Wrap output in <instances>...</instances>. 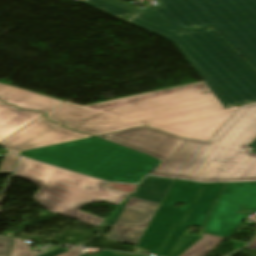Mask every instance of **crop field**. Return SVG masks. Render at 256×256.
Returning a JSON list of instances; mask_svg holds the SVG:
<instances>
[{"mask_svg":"<svg viewBox=\"0 0 256 256\" xmlns=\"http://www.w3.org/2000/svg\"><path fill=\"white\" fill-rule=\"evenodd\" d=\"M239 107L224 109L207 84L198 82L83 107L64 102L46 115L95 136L148 125L207 141Z\"/></svg>","mask_w":256,"mask_h":256,"instance_id":"crop-field-1","label":"crop field"},{"mask_svg":"<svg viewBox=\"0 0 256 256\" xmlns=\"http://www.w3.org/2000/svg\"><path fill=\"white\" fill-rule=\"evenodd\" d=\"M162 163L152 175L202 182L256 180V103L241 106L207 141L183 138L142 126L98 136Z\"/></svg>","mask_w":256,"mask_h":256,"instance_id":"crop-field-2","label":"crop field"},{"mask_svg":"<svg viewBox=\"0 0 256 256\" xmlns=\"http://www.w3.org/2000/svg\"><path fill=\"white\" fill-rule=\"evenodd\" d=\"M123 21L171 41L224 108L256 102V71L214 29L181 31L135 14Z\"/></svg>","mask_w":256,"mask_h":256,"instance_id":"crop-field-3","label":"crop field"},{"mask_svg":"<svg viewBox=\"0 0 256 256\" xmlns=\"http://www.w3.org/2000/svg\"><path fill=\"white\" fill-rule=\"evenodd\" d=\"M178 29L213 27L256 69V0H157L139 10L115 0H101Z\"/></svg>","mask_w":256,"mask_h":256,"instance_id":"crop-field-4","label":"crop field"},{"mask_svg":"<svg viewBox=\"0 0 256 256\" xmlns=\"http://www.w3.org/2000/svg\"><path fill=\"white\" fill-rule=\"evenodd\" d=\"M20 156L106 181L137 183L159 161L96 137L23 151Z\"/></svg>","mask_w":256,"mask_h":256,"instance_id":"crop-field-5","label":"crop field"},{"mask_svg":"<svg viewBox=\"0 0 256 256\" xmlns=\"http://www.w3.org/2000/svg\"><path fill=\"white\" fill-rule=\"evenodd\" d=\"M224 185L174 180L137 246L156 256H178L199 238L183 236L187 227H203ZM176 202L186 204L174 207Z\"/></svg>","mask_w":256,"mask_h":256,"instance_id":"crop-field-6","label":"crop field"},{"mask_svg":"<svg viewBox=\"0 0 256 256\" xmlns=\"http://www.w3.org/2000/svg\"><path fill=\"white\" fill-rule=\"evenodd\" d=\"M14 176L41 187L33 199L48 211L95 226L103 219L80 212V208L89 202L108 201L119 205L128 195L102 186V181L25 158L20 159Z\"/></svg>","mask_w":256,"mask_h":256,"instance_id":"crop-field-7","label":"crop field"},{"mask_svg":"<svg viewBox=\"0 0 256 256\" xmlns=\"http://www.w3.org/2000/svg\"><path fill=\"white\" fill-rule=\"evenodd\" d=\"M172 182L147 176L103 221L113 226L107 239L137 245Z\"/></svg>","mask_w":256,"mask_h":256,"instance_id":"crop-field-8","label":"crop field"},{"mask_svg":"<svg viewBox=\"0 0 256 256\" xmlns=\"http://www.w3.org/2000/svg\"><path fill=\"white\" fill-rule=\"evenodd\" d=\"M256 210V183L226 184L206 224L205 233L228 237L243 221L241 208Z\"/></svg>","mask_w":256,"mask_h":256,"instance_id":"crop-field-9","label":"crop field"},{"mask_svg":"<svg viewBox=\"0 0 256 256\" xmlns=\"http://www.w3.org/2000/svg\"><path fill=\"white\" fill-rule=\"evenodd\" d=\"M92 137L82 133L69 131L55 123L45 120L44 116L9 137L0 145L17 154L20 151L37 147Z\"/></svg>","mask_w":256,"mask_h":256,"instance_id":"crop-field-10","label":"crop field"},{"mask_svg":"<svg viewBox=\"0 0 256 256\" xmlns=\"http://www.w3.org/2000/svg\"><path fill=\"white\" fill-rule=\"evenodd\" d=\"M0 100L21 109H33L44 113L63 103L4 84H0Z\"/></svg>","mask_w":256,"mask_h":256,"instance_id":"crop-field-11","label":"crop field"},{"mask_svg":"<svg viewBox=\"0 0 256 256\" xmlns=\"http://www.w3.org/2000/svg\"><path fill=\"white\" fill-rule=\"evenodd\" d=\"M43 116L41 113L18 111L0 102V142Z\"/></svg>","mask_w":256,"mask_h":256,"instance_id":"crop-field-12","label":"crop field"},{"mask_svg":"<svg viewBox=\"0 0 256 256\" xmlns=\"http://www.w3.org/2000/svg\"><path fill=\"white\" fill-rule=\"evenodd\" d=\"M225 238L204 234L203 238L182 256H206Z\"/></svg>","mask_w":256,"mask_h":256,"instance_id":"crop-field-13","label":"crop field"},{"mask_svg":"<svg viewBox=\"0 0 256 256\" xmlns=\"http://www.w3.org/2000/svg\"><path fill=\"white\" fill-rule=\"evenodd\" d=\"M84 4H87L93 8H96L102 12H105L111 16H114L120 20L124 19L125 17L129 16L132 13H129L127 11L118 9L116 7L110 6L108 4H105L103 2L97 1V0H78Z\"/></svg>","mask_w":256,"mask_h":256,"instance_id":"crop-field-14","label":"crop field"},{"mask_svg":"<svg viewBox=\"0 0 256 256\" xmlns=\"http://www.w3.org/2000/svg\"><path fill=\"white\" fill-rule=\"evenodd\" d=\"M14 239V248L11 252V256H35L31 253L30 248L28 245L23 242L22 239L13 238Z\"/></svg>","mask_w":256,"mask_h":256,"instance_id":"crop-field-15","label":"crop field"},{"mask_svg":"<svg viewBox=\"0 0 256 256\" xmlns=\"http://www.w3.org/2000/svg\"><path fill=\"white\" fill-rule=\"evenodd\" d=\"M18 156L12 153H6L0 165V174L11 173L13 170Z\"/></svg>","mask_w":256,"mask_h":256,"instance_id":"crop-field-16","label":"crop field"},{"mask_svg":"<svg viewBox=\"0 0 256 256\" xmlns=\"http://www.w3.org/2000/svg\"><path fill=\"white\" fill-rule=\"evenodd\" d=\"M79 250H80V248H74L70 251H68L64 248H58L56 250H53V251L46 253L44 255H41V256H79L82 254V252Z\"/></svg>","mask_w":256,"mask_h":256,"instance_id":"crop-field-17","label":"crop field"},{"mask_svg":"<svg viewBox=\"0 0 256 256\" xmlns=\"http://www.w3.org/2000/svg\"><path fill=\"white\" fill-rule=\"evenodd\" d=\"M11 247V238L0 236V256H8Z\"/></svg>","mask_w":256,"mask_h":256,"instance_id":"crop-field-18","label":"crop field"},{"mask_svg":"<svg viewBox=\"0 0 256 256\" xmlns=\"http://www.w3.org/2000/svg\"><path fill=\"white\" fill-rule=\"evenodd\" d=\"M82 256H86V255H82ZM98 256H120V255H114L112 252L110 251H105L103 250Z\"/></svg>","mask_w":256,"mask_h":256,"instance_id":"crop-field-19","label":"crop field"},{"mask_svg":"<svg viewBox=\"0 0 256 256\" xmlns=\"http://www.w3.org/2000/svg\"><path fill=\"white\" fill-rule=\"evenodd\" d=\"M246 248H248V249H256V238H255V240H254L248 247H246Z\"/></svg>","mask_w":256,"mask_h":256,"instance_id":"crop-field-20","label":"crop field"},{"mask_svg":"<svg viewBox=\"0 0 256 256\" xmlns=\"http://www.w3.org/2000/svg\"><path fill=\"white\" fill-rule=\"evenodd\" d=\"M249 147L254 148L252 152L256 153V139L249 145Z\"/></svg>","mask_w":256,"mask_h":256,"instance_id":"crop-field-21","label":"crop field"}]
</instances>
